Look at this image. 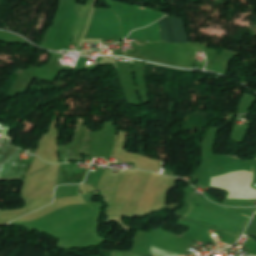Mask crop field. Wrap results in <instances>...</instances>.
Returning a JSON list of instances; mask_svg holds the SVG:
<instances>
[{
  "label": "crop field",
  "mask_w": 256,
  "mask_h": 256,
  "mask_svg": "<svg viewBox=\"0 0 256 256\" xmlns=\"http://www.w3.org/2000/svg\"><path fill=\"white\" fill-rule=\"evenodd\" d=\"M158 23L162 41L169 43L189 42L183 20L166 16Z\"/></svg>",
  "instance_id": "8a807250"
},
{
  "label": "crop field",
  "mask_w": 256,
  "mask_h": 256,
  "mask_svg": "<svg viewBox=\"0 0 256 256\" xmlns=\"http://www.w3.org/2000/svg\"><path fill=\"white\" fill-rule=\"evenodd\" d=\"M150 253L156 254L158 256H179L177 254H174L172 252L169 251H165L156 247H151Z\"/></svg>",
  "instance_id": "ac0d7876"
},
{
  "label": "crop field",
  "mask_w": 256,
  "mask_h": 256,
  "mask_svg": "<svg viewBox=\"0 0 256 256\" xmlns=\"http://www.w3.org/2000/svg\"><path fill=\"white\" fill-rule=\"evenodd\" d=\"M112 256H152V255H142V254H129V253H116V252H112Z\"/></svg>",
  "instance_id": "34b2d1b8"
}]
</instances>
